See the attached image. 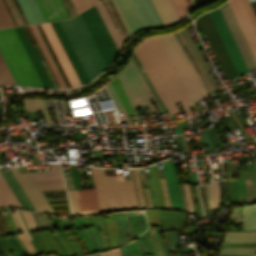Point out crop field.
<instances>
[{"label":"crop field","mask_w":256,"mask_h":256,"mask_svg":"<svg viewBox=\"0 0 256 256\" xmlns=\"http://www.w3.org/2000/svg\"><path fill=\"white\" fill-rule=\"evenodd\" d=\"M110 81L113 84L114 88L116 89V91H117V93H118V95L120 97V100L122 102V105H123L126 113L127 114L131 113L132 111H131V109L129 107V104H128V102H127V100H126V98H125V96H124V94H123V92H122L118 82L116 81L115 77H113Z\"/></svg>","instance_id":"028f5c9d"},{"label":"crop field","mask_w":256,"mask_h":256,"mask_svg":"<svg viewBox=\"0 0 256 256\" xmlns=\"http://www.w3.org/2000/svg\"><path fill=\"white\" fill-rule=\"evenodd\" d=\"M52 236H53V238L56 240V242L58 243V245L61 247V245H60V243H59V241L56 239V237L54 236V234H52ZM61 249L63 250V248L61 247ZM63 252L65 253V251L63 250ZM66 254V253H65ZM66 256H67V254H66Z\"/></svg>","instance_id":"7b73153f"},{"label":"crop field","mask_w":256,"mask_h":256,"mask_svg":"<svg viewBox=\"0 0 256 256\" xmlns=\"http://www.w3.org/2000/svg\"><path fill=\"white\" fill-rule=\"evenodd\" d=\"M21 212H22L24 220H25V222H26V224L28 226V229L31 230V231L37 230V227H36V225H35V223L33 221L31 213L30 212H23V211H21Z\"/></svg>","instance_id":"e1f06a70"},{"label":"crop field","mask_w":256,"mask_h":256,"mask_svg":"<svg viewBox=\"0 0 256 256\" xmlns=\"http://www.w3.org/2000/svg\"><path fill=\"white\" fill-rule=\"evenodd\" d=\"M40 190L65 189L62 180L36 181Z\"/></svg>","instance_id":"bd1437ed"},{"label":"crop field","mask_w":256,"mask_h":256,"mask_svg":"<svg viewBox=\"0 0 256 256\" xmlns=\"http://www.w3.org/2000/svg\"><path fill=\"white\" fill-rule=\"evenodd\" d=\"M238 23L239 26L249 44V47L256 59V35L246 17V14L239 2V0H229L228 1Z\"/></svg>","instance_id":"d9b57169"},{"label":"crop field","mask_w":256,"mask_h":256,"mask_svg":"<svg viewBox=\"0 0 256 256\" xmlns=\"http://www.w3.org/2000/svg\"><path fill=\"white\" fill-rule=\"evenodd\" d=\"M183 188H184V192H185V196H186L188 211L193 212L192 201H191V195H190L189 187H188V185H183Z\"/></svg>","instance_id":"c035e120"},{"label":"crop field","mask_w":256,"mask_h":256,"mask_svg":"<svg viewBox=\"0 0 256 256\" xmlns=\"http://www.w3.org/2000/svg\"><path fill=\"white\" fill-rule=\"evenodd\" d=\"M51 172L31 173L34 180L63 179L59 164H50Z\"/></svg>","instance_id":"ae1a2a85"},{"label":"crop field","mask_w":256,"mask_h":256,"mask_svg":"<svg viewBox=\"0 0 256 256\" xmlns=\"http://www.w3.org/2000/svg\"><path fill=\"white\" fill-rule=\"evenodd\" d=\"M132 60L135 63V65L137 66L138 70L140 71V73L142 74L143 78L145 79L146 83L148 84V86L150 87L151 91L153 92L154 96L156 97V99L158 100L159 104L161 105V107L163 108L164 112H167V109L165 108V106L163 105L162 101L160 100V98L158 97V95L156 94L147 74L145 73V71L143 70L142 66L140 65V63L138 62L135 54L133 53L132 55Z\"/></svg>","instance_id":"750c4746"},{"label":"crop field","mask_w":256,"mask_h":256,"mask_svg":"<svg viewBox=\"0 0 256 256\" xmlns=\"http://www.w3.org/2000/svg\"><path fill=\"white\" fill-rule=\"evenodd\" d=\"M83 1H84L87 8L90 7L91 5L99 2V0H83Z\"/></svg>","instance_id":"dbb93151"},{"label":"crop field","mask_w":256,"mask_h":256,"mask_svg":"<svg viewBox=\"0 0 256 256\" xmlns=\"http://www.w3.org/2000/svg\"><path fill=\"white\" fill-rule=\"evenodd\" d=\"M89 81L106 67L80 14L70 20L60 21Z\"/></svg>","instance_id":"8a807250"},{"label":"crop field","mask_w":256,"mask_h":256,"mask_svg":"<svg viewBox=\"0 0 256 256\" xmlns=\"http://www.w3.org/2000/svg\"><path fill=\"white\" fill-rule=\"evenodd\" d=\"M219 9L229 27V30L239 48V50H240V53L247 65L249 71L256 69V61L248 47V44L238 26V23L228 5V3L219 7Z\"/></svg>","instance_id":"5a996713"},{"label":"crop field","mask_w":256,"mask_h":256,"mask_svg":"<svg viewBox=\"0 0 256 256\" xmlns=\"http://www.w3.org/2000/svg\"><path fill=\"white\" fill-rule=\"evenodd\" d=\"M174 34H175V36H176V38H177V40H178L179 44L181 45V47H182V49H183V51H184V53H185L186 57L188 58V60H189V62H190V64H191V66H192V68L194 69V71H195V73H196V75H197V77H198V79H199L200 83L202 84L203 88L206 90V92L208 93V95H210L211 93L209 94L208 90L206 89L205 85L203 84V82H202V80H201L200 76L198 75V73H197L196 69L194 68V66H193V64H192V62H191V60L189 59V57H188V55H187L186 51L184 50V48H183V46H182L181 42L179 41V39H178V37H177L176 33H174Z\"/></svg>","instance_id":"b54c1fbb"},{"label":"crop field","mask_w":256,"mask_h":256,"mask_svg":"<svg viewBox=\"0 0 256 256\" xmlns=\"http://www.w3.org/2000/svg\"><path fill=\"white\" fill-rule=\"evenodd\" d=\"M105 86H106V88H107V90H108V92H109V94H110V96H111V98H112V100L115 104V107H116L118 113H122L124 119L127 120L128 125H130L129 122H128V119L126 117V114L124 112V109L121 105V102L118 98V95H117L115 89L113 88L112 84L110 83V81Z\"/></svg>","instance_id":"d3111659"},{"label":"crop field","mask_w":256,"mask_h":256,"mask_svg":"<svg viewBox=\"0 0 256 256\" xmlns=\"http://www.w3.org/2000/svg\"><path fill=\"white\" fill-rule=\"evenodd\" d=\"M200 35L205 34L227 80L237 77V73L222 45V42L208 16L204 14L195 20Z\"/></svg>","instance_id":"e52e79f7"},{"label":"crop field","mask_w":256,"mask_h":256,"mask_svg":"<svg viewBox=\"0 0 256 256\" xmlns=\"http://www.w3.org/2000/svg\"><path fill=\"white\" fill-rule=\"evenodd\" d=\"M91 256V255H90Z\"/></svg>","instance_id":"f0312440"},{"label":"crop field","mask_w":256,"mask_h":256,"mask_svg":"<svg viewBox=\"0 0 256 256\" xmlns=\"http://www.w3.org/2000/svg\"><path fill=\"white\" fill-rule=\"evenodd\" d=\"M15 30H16L28 56L30 57L44 87L53 88L35 51H34V49H33V47H32V45H31V43H30V41H29V39H28V37H27V35H26V33H25V31H24V29H23V27L15 28Z\"/></svg>","instance_id":"bc2a9ffb"},{"label":"crop field","mask_w":256,"mask_h":256,"mask_svg":"<svg viewBox=\"0 0 256 256\" xmlns=\"http://www.w3.org/2000/svg\"><path fill=\"white\" fill-rule=\"evenodd\" d=\"M7 240H8V242L11 244V246L13 247V249H14V251L16 252V254L18 255V256H21V254L18 252V250L15 248V246L13 245V243L11 242V240L9 239V237L8 238H6ZM5 239V237H2V240L4 241V243L6 244V246L8 247V249H11L12 247L10 246V244L7 242V240ZM1 240V238H0V241L2 242V244L5 246V244L3 243V241ZM1 242H0V246H1V248L4 250V251H6L7 252V247L5 246V248L7 249H5L4 248V246L1 244ZM8 252H10L9 250H8ZM7 252V253H8ZM15 253H13V256H17Z\"/></svg>","instance_id":"0bd39190"},{"label":"crop field","mask_w":256,"mask_h":256,"mask_svg":"<svg viewBox=\"0 0 256 256\" xmlns=\"http://www.w3.org/2000/svg\"><path fill=\"white\" fill-rule=\"evenodd\" d=\"M93 220H94V222H95V224H96L97 229H100L99 226H98V223H97V221H96V218H94Z\"/></svg>","instance_id":"ae633e8c"},{"label":"crop field","mask_w":256,"mask_h":256,"mask_svg":"<svg viewBox=\"0 0 256 256\" xmlns=\"http://www.w3.org/2000/svg\"><path fill=\"white\" fill-rule=\"evenodd\" d=\"M70 168L75 189L81 188L76 166L70 165Z\"/></svg>","instance_id":"b80d0937"},{"label":"crop field","mask_w":256,"mask_h":256,"mask_svg":"<svg viewBox=\"0 0 256 256\" xmlns=\"http://www.w3.org/2000/svg\"><path fill=\"white\" fill-rule=\"evenodd\" d=\"M221 256H232V255H221Z\"/></svg>","instance_id":"fb207236"},{"label":"crop field","mask_w":256,"mask_h":256,"mask_svg":"<svg viewBox=\"0 0 256 256\" xmlns=\"http://www.w3.org/2000/svg\"><path fill=\"white\" fill-rule=\"evenodd\" d=\"M129 35L143 29V26L129 0H112Z\"/></svg>","instance_id":"5142ce71"},{"label":"crop field","mask_w":256,"mask_h":256,"mask_svg":"<svg viewBox=\"0 0 256 256\" xmlns=\"http://www.w3.org/2000/svg\"><path fill=\"white\" fill-rule=\"evenodd\" d=\"M5 220V219H4ZM6 223H7V221H6ZM7 226H8V224H7ZM9 228V227H8ZM12 230V229H11ZM13 232V231H12Z\"/></svg>","instance_id":"7312dd0a"},{"label":"crop field","mask_w":256,"mask_h":256,"mask_svg":"<svg viewBox=\"0 0 256 256\" xmlns=\"http://www.w3.org/2000/svg\"><path fill=\"white\" fill-rule=\"evenodd\" d=\"M97 221L99 223L100 228L103 230L101 222H100V219L97 218ZM99 233H100V237H101V240H102V243H103L104 247H108L107 242H106V238H105V235H104V232L100 231Z\"/></svg>","instance_id":"25e5ab78"},{"label":"crop field","mask_w":256,"mask_h":256,"mask_svg":"<svg viewBox=\"0 0 256 256\" xmlns=\"http://www.w3.org/2000/svg\"><path fill=\"white\" fill-rule=\"evenodd\" d=\"M72 2L74 4L77 12H80V11L86 9V7H85V5H84L82 0H72Z\"/></svg>","instance_id":"d23c7cc5"},{"label":"crop field","mask_w":256,"mask_h":256,"mask_svg":"<svg viewBox=\"0 0 256 256\" xmlns=\"http://www.w3.org/2000/svg\"><path fill=\"white\" fill-rule=\"evenodd\" d=\"M240 2H241L242 6H243V8H244V10L247 14V17H248L255 33H256V17H255V14H254L248 0H240Z\"/></svg>","instance_id":"d32e631a"},{"label":"crop field","mask_w":256,"mask_h":256,"mask_svg":"<svg viewBox=\"0 0 256 256\" xmlns=\"http://www.w3.org/2000/svg\"><path fill=\"white\" fill-rule=\"evenodd\" d=\"M135 8L144 28L164 27L151 0H130Z\"/></svg>","instance_id":"cbeb9de0"},{"label":"crop field","mask_w":256,"mask_h":256,"mask_svg":"<svg viewBox=\"0 0 256 256\" xmlns=\"http://www.w3.org/2000/svg\"><path fill=\"white\" fill-rule=\"evenodd\" d=\"M209 188V194H210V205L211 209H216L218 203H219V195H220V189L218 185V181H216L213 185H208Z\"/></svg>","instance_id":"1d83c4d3"},{"label":"crop field","mask_w":256,"mask_h":256,"mask_svg":"<svg viewBox=\"0 0 256 256\" xmlns=\"http://www.w3.org/2000/svg\"><path fill=\"white\" fill-rule=\"evenodd\" d=\"M155 212H156V216H157V220H158V211H155ZM145 213H146L148 225H155L152 211H145ZM156 216H155V218H156ZM157 220H156V223H157ZM158 224H159V222H158Z\"/></svg>","instance_id":"5d738f31"},{"label":"crop field","mask_w":256,"mask_h":256,"mask_svg":"<svg viewBox=\"0 0 256 256\" xmlns=\"http://www.w3.org/2000/svg\"><path fill=\"white\" fill-rule=\"evenodd\" d=\"M0 206L22 209L8 185L0 175Z\"/></svg>","instance_id":"a9b5d70f"},{"label":"crop field","mask_w":256,"mask_h":256,"mask_svg":"<svg viewBox=\"0 0 256 256\" xmlns=\"http://www.w3.org/2000/svg\"><path fill=\"white\" fill-rule=\"evenodd\" d=\"M28 23H41L44 22L34 0H17Z\"/></svg>","instance_id":"dafd665d"},{"label":"crop field","mask_w":256,"mask_h":256,"mask_svg":"<svg viewBox=\"0 0 256 256\" xmlns=\"http://www.w3.org/2000/svg\"><path fill=\"white\" fill-rule=\"evenodd\" d=\"M172 209L183 210L179 182L173 160L162 162Z\"/></svg>","instance_id":"22f410ed"},{"label":"crop field","mask_w":256,"mask_h":256,"mask_svg":"<svg viewBox=\"0 0 256 256\" xmlns=\"http://www.w3.org/2000/svg\"><path fill=\"white\" fill-rule=\"evenodd\" d=\"M95 6H96L102 20L104 21L110 35L112 36L118 50H119V48L122 46L123 42H122V40H121V38H120L112 20H111V18H110L109 14L106 10L103 2H100Z\"/></svg>","instance_id":"00972430"},{"label":"crop field","mask_w":256,"mask_h":256,"mask_svg":"<svg viewBox=\"0 0 256 256\" xmlns=\"http://www.w3.org/2000/svg\"><path fill=\"white\" fill-rule=\"evenodd\" d=\"M32 244L35 247V249L37 250L38 254H41L40 250L37 248V246L35 245L34 241H32Z\"/></svg>","instance_id":"0f1d7ab4"},{"label":"crop field","mask_w":256,"mask_h":256,"mask_svg":"<svg viewBox=\"0 0 256 256\" xmlns=\"http://www.w3.org/2000/svg\"><path fill=\"white\" fill-rule=\"evenodd\" d=\"M223 44L224 47L238 73V75H243L245 73H248V69L239 53V50L228 30V27L219 11V9L217 10H213L208 12Z\"/></svg>","instance_id":"d8731c3e"},{"label":"crop field","mask_w":256,"mask_h":256,"mask_svg":"<svg viewBox=\"0 0 256 256\" xmlns=\"http://www.w3.org/2000/svg\"><path fill=\"white\" fill-rule=\"evenodd\" d=\"M205 188H206V193H207V198H208V189H207V185L205 186ZM208 203H209V198H208ZM209 207H210V205H209ZM211 210V209H210Z\"/></svg>","instance_id":"d14b1444"},{"label":"crop field","mask_w":256,"mask_h":256,"mask_svg":"<svg viewBox=\"0 0 256 256\" xmlns=\"http://www.w3.org/2000/svg\"><path fill=\"white\" fill-rule=\"evenodd\" d=\"M176 137H177V139H178V141H179V143H180V146H181V148H182L183 153H184V154H188L187 149H186V147H185V145H184V143H183L181 137H180V136H176Z\"/></svg>","instance_id":"89e229c0"},{"label":"crop field","mask_w":256,"mask_h":256,"mask_svg":"<svg viewBox=\"0 0 256 256\" xmlns=\"http://www.w3.org/2000/svg\"><path fill=\"white\" fill-rule=\"evenodd\" d=\"M227 247H256V243H224Z\"/></svg>","instance_id":"c21b1889"},{"label":"crop field","mask_w":256,"mask_h":256,"mask_svg":"<svg viewBox=\"0 0 256 256\" xmlns=\"http://www.w3.org/2000/svg\"><path fill=\"white\" fill-rule=\"evenodd\" d=\"M194 209H195V212L197 213V208H196V205H194Z\"/></svg>","instance_id":"c3a83c6f"},{"label":"crop field","mask_w":256,"mask_h":256,"mask_svg":"<svg viewBox=\"0 0 256 256\" xmlns=\"http://www.w3.org/2000/svg\"><path fill=\"white\" fill-rule=\"evenodd\" d=\"M255 161H256V159H255Z\"/></svg>","instance_id":"180be81f"},{"label":"crop field","mask_w":256,"mask_h":256,"mask_svg":"<svg viewBox=\"0 0 256 256\" xmlns=\"http://www.w3.org/2000/svg\"><path fill=\"white\" fill-rule=\"evenodd\" d=\"M100 256H112V255H111V252L108 251V252H105V253H101Z\"/></svg>","instance_id":"db79e9e6"},{"label":"crop field","mask_w":256,"mask_h":256,"mask_svg":"<svg viewBox=\"0 0 256 256\" xmlns=\"http://www.w3.org/2000/svg\"><path fill=\"white\" fill-rule=\"evenodd\" d=\"M36 210L52 212L28 172L19 173L16 167H9Z\"/></svg>","instance_id":"d1516ede"},{"label":"crop field","mask_w":256,"mask_h":256,"mask_svg":"<svg viewBox=\"0 0 256 256\" xmlns=\"http://www.w3.org/2000/svg\"><path fill=\"white\" fill-rule=\"evenodd\" d=\"M60 233H61V235L64 237V239L67 241V239L65 238V236L63 235V233H62V232H60ZM60 233H58V234L60 235ZM64 233H65V232H64ZM61 235H60V237L63 239V237H62ZM65 235H66V234H65ZM66 236H67V235H66ZM67 238H68V237H67ZM64 239H63V241L66 243V241H65ZM70 242H71V241H70ZM67 243L69 244L68 241H67ZM67 243H66L67 247H68L69 250L72 252V250H73V248H74V247H73L74 245L72 246V247H73V248H72V247H71L72 244H71V243H70L71 245L69 244V246H70L71 249H72V250H71ZM74 250H75V248H74ZM74 250H73V252L75 253V255H77V253L75 252L77 249H76L75 251H74ZM73 252H72V254L74 255ZM77 252H78V251H77ZM78 254H79V252H78Z\"/></svg>","instance_id":"73cf0c24"},{"label":"crop field","mask_w":256,"mask_h":256,"mask_svg":"<svg viewBox=\"0 0 256 256\" xmlns=\"http://www.w3.org/2000/svg\"><path fill=\"white\" fill-rule=\"evenodd\" d=\"M38 235L40 234V233H37ZM40 237H41V239H42V241H43V243H44V245L46 246V248L49 250V251H51V248L48 246V244L45 242V240L43 239V237L40 235ZM39 237V238H40Z\"/></svg>","instance_id":"0765c3eb"},{"label":"crop field","mask_w":256,"mask_h":256,"mask_svg":"<svg viewBox=\"0 0 256 256\" xmlns=\"http://www.w3.org/2000/svg\"><path fill=\"white\" fill-rule=\"evenodd\" d=\"M179 20L186 15L187 5L184 0H170Z\"/></svg>","instance_id":"120bbe31"},{"label":"crop field","mask_w":256,"mask_h":256,"mask_svg":"<svg viewBox=\"0 0 256 256\" xmlns=\"http://www.w3.org/2000/svg\"><path fill=\"white\" fill-rule=\"evenodd\" d=\"M0 52L17 85L43 87L14 28L0 30Z\"/></svg>","instance_id":"ac0d7876"},{"label":"crop field","mask_w":256,"mask_h":256,"mask_svg":"<svg viewBox=\"0 0 256 256\" xmlns=\"http://www.w3.org/2000/svg\"><path fill=\"white\" fill-rule=\"evenodd\" d=\"M71 87L73 86H77L80 85V82L66 56V54L64 53L50 23H44V24H40Z\"/></svg>","instance_id":"3316defc"},{"label":"crop field","mask_w":256,"mask_h":256,"mask_svg":"<svg viewBox=\"0 0 256 256\" xmlns=\"http://www.w3.org/2000/svg\"><path fill=\"white\" fill-rule=\"evenodd\" d=\"M256 229V204L243 207V230Z\"/></svg>","instance_id":"4177f3b9"},{"label":"crop field","mask_w":256,"mask_h":256,"mask_svg":"<svg viewBox=\"0 0 256 256\" xmlns=\"http://www.w3.org/2000/svg\"><path fill=\"white\" fill-rule=\"evenodd\" d=\"M27 112L42 110L48 124L50 123L44 99H22Z\"/></svg>","instance_id":"eef30255"},{"label":"crop field","mask_w":256,"mask_h":256,"mask_svg":"<svg viewBox=\"0 0 256 256\" xmlns=\"http://www.w3.org/2000/svg\"><path fill=\"white\" fill-rule=\"evenodd\" d=\"M228 182H229V185H230V195H231V184H230V181H228ZM232 189H233V185H232ZM232 203H233V201H232Z\"/></svg>","instance_id":"c39391a2"},{"label":"crop field","mask_w":256,"mask_h":256,"mask_svg":"<svg viewBox=\"0 0 256 256\" xmlns=\"http://www.w3.org/2000/svg\"><path fill=\"white\" fill-rule=\"evenodd\" d=\"M72 214L99 212L94 188L67 191Z\"/></svg>","instance_id":"28ad6ade"},{"label":"crop field","mask_w":256,"mask_h":256,"mask_svg":"<svg viewBox=\"0 0 256 256\" xmlns=\"http://www.w3.org/2000/svg\"><path fill=\"white\" fill-rule=\"evenodd\" d=\"M33 235H34L35 238L38 240V242L40 243V245L42 246V248L45 250V252H48L47 249L45 248V246L43 245V243L40 241V239H39L38 236L36 235V233H33Z\"/></svg>","instance_id":"9d1cf04e"},{"label":"crop field","mask_w":256,"mask_h":256,"mask_svg":"<svg viewBox=\"0 0 256 256\" xmlns=\"http://www.w3.org/2000/svg\"><path fill=\"white\" fill-rule=\"evenodd\" d=\"M51 25L60 41L65 53L67 54L81 84H85V83L89 82L71 45H70V43H69V41H68V39H67V37H66V35H65V33H64V31H63V29H62V27H61V25H60V23H59V21L52 22Z\"/></svg>","instance_id":"733c2abd"},{"label":"crop field","mask_w":256,"mask_h":256,"mask_svg":"<svg viewBox=\"0 0 256 256\" xmlns=\"http://www.w3.org/2000/svg\"><path fill=\"white\" fill-rule=\"evenodd\" d=\"M58 240L60 241V243L62 244V246L64 247V249L67 251V253L69 254V256H72V254L70 253V251L67 249L66 245L63 243V241L60 239L59 236H57Z\"/></svg>","instance_id":"1d79db26"},{"label":"crop field","mask_w":256,"mask_h":256,"mask_svg":"<svg viewBox=\"0 0 256 256\" xmlns=\"http://www.w3.org/2000/svg\"><path fill=\"white\" fill-rule=\"evenodd\" d=\"M220 252L251 255V254H255L256 248H221Z\"/></svg>","instance_id":"5866460e"},{"label":"crop field","mask_w":256,"mask_h":256,"mask_svg":"<svg viewBox=\"0 0 256 256\" xmlns=\"http://www.w3.org/2000/svg\"><path fill=\"white\" fill-rule=\"evenodd\" d=\"M21 214V213H20ZM22 217V215H21ZM22 220H23V217H22ZM23 223H24V220H23ZM25 225V223H24ZM26 227V226H25ZM27 229V228H26ZM28 231V230H27ZM29 232V231H28ZM30 236L33 238V240L35 241V243L37 244V246L40 248V250L42 251V253H44V250L41 248V246L38 244V242L36 241V239L33 237V235L30 233Z\"/></svg>","instance_id":"0fb4a251"},{"label":"crop field","mask_w":256,"mask_h":256,"mask_svg":"<svg viewBox=\"0 0 256 256\" xmlns=\"http://www.w3.org/2000/svg\"><path fill=\"white\" fill-rule=\"evenodd\" d=\"M74 220L78 224L79 227H84L81 220H80V217H76V218H74Z\"/></svg>","instance_id":"447ae74e"},{"label":"crop field","mask_w":256,"mask_h":256,"mask_svg":"<svg viewBox=\"0 0 256 256\" xmlns=\"http://www.w3.org/2000/svg\"><path fill=\"white\" fill-rule=\"evenodd\" d=\"M45 22L69 18L60 0H35Z\"/></svg>","instance_id":"4a817a6b"},{"label":"crop field","mask_w":256,"mask_h":256,"mask_svg":"<svg viewBox=\"0 0 256 256\" xmlns=\"http://www.w3.org/2000/svg\"><path fill=\"white\" fill-rule=\"evenodd\" d=\"M74 230H75V232L77 233V235L80 237V235L78 234L77 230H76V229H74ZM80 239H81V237H80ZM81 240H82V239H81ZM82 242H83V241H82ZM83 244H84V242H83ZM84 245H85V244H84ZM85 247H86V249L88 250V252H90L86 245H85Z\"/></svg>","instance_id":"e1d0b9f6"},{"label":"crop field","mask_w":256,"mask_h":256,"mask_svg":"<svg viewBox=\"0 0 256 256\" xmlns=\"http://www.w3.org/2000/svg\"><path fill=\"white\" fill-rule=\"evenodd\" d=\"M180 32H181L182 36L184 37L185 41L187 42L196 62L198 63L199 67L201 68L202 72L204 73L205 77L207 78L209 84L211 85V87L214 91L215 89H217V86H216L213 78L211 77L198 49L196 48L187 28Z\"/></svg>","instance_id":"214f88e0"},{"label":"crop field","mask_w":256,"mask_h":256,"mask_svg":"<svg viewBox=\"0 0 256 256\" xmlns=\"http://www.w3.org/2000/svg\"><path fill=\"white\" fill-rule=\"evenodd\" d=\"M1 234H4V233H3V231H2V229H1V227H0V235H1Z\"/></svg>","instance_id":"c5b07064"},{"label":"crop field","mask_w":256,"mask_h":256,"mask_svg":"<svg viewBox=\"0 0 256 256\" xmlns=\"http://www.w3.org/2000/svg\"><path fill=\"white\" fill-rule=\"evenodd\" d=\"M90 169L100 212L137 208L131 181L106 182L103 169Z\"/></svg>","instance_id":"34b2d1b8"},{"label":"crop field","mask_w":256,"mask_h":256,"mask_svg":"<svg viewBox=\"0 0 256 256\" xmlns=\"http://www.w3.org/2000/svg\"><path fill=\"white\" fill-rule=\"evenodd\" d=\"M49 236L51 237V239L54 241L55 245L58 247V249L62 252V250L59 248V246L56 244L55 240L52 238L51 234L49 233V231H47ZM63 253V252H62ZM64 254V253H63Z\"/></svg>","instance_id":"78b8030e"},{"label":"crop field","mask_w":256,"mask_h":256,"mask_svg":"<svg viewBox=\"0 0 256 256\" xmlns=\"http://www.w3.org/2000/svg\"><path fill=\"white\" fill-rule=\"evenodd\" d=\"M106 65L118 51L95 6L80 13Z\"/></svg>","instance_id":"dd49c442"},{"label":"crop field","mask_w":256,"mask_h":256,"mask_svg":"<svg viewBox=\"0 0 256 256\" xmlns=\"http://www.w3.org/2000/svg\"><path fill=\"white\" fill-rule=\"evenodd\" d=\"M1 28V27H0Z\"/></svg>","instance_id":"1f1604b0"},{"label":"crop field","mask_w":256,"mask_h":256,"mask_svg":"<svg viewBox=\"0 0 256 256\" xmlns=\"http://www.w3.org/2000/svg\"><path fill=\"white\" fill-rule=\"evenodd\" d=\"M0 173L2 174L3 178L11 188L12 192L20 202L21 206L23 209H30V210H35L33 205L31 204L30 200L18 184L17 180L13 176V174H4L3 171L0 168Z\"/></svg>","instance_id":"92a150f3"},{"label":"crop field","mask_w":256,"mask_h":256,"mask_svg":"<svg viewBox=\"0 0 256 256\" xmlns=\"http://www.w3.org/2000/svg\"><path fill=\"white\" fill-rule=\"evenodd\" d=\"M186 2H187V4H188V6H189V4H190L191 0H186Z\"/></svg>","instance_id":"ade564c9"},{"label":"crop field","mask_w":256,"mask_h":256,"mask_svg":"<svg viewBox=\"0 0 256 256\" xmlns=\"http://www.w3.org/2000/svg\"><path fill=\"white\" fill-rule=\"evenodd\" d=\"M15 211H16L17 217H18V219L20 221V224H21V227H22L23 231L26 233V235L28 236L29 240H31V237L28 235V233H27V231H26V229H25V227H24V225L22 223V220H21V217H20L18 211L17 210H15Z\"/></svg>","instance_id":"1f2cbd36"},{"label":"crop field","mask_w":256,"mask_h":256,"mask_svg":"<svg viewBox=\"0 0 256 256\" xmlns=\"http://www.w3.org/2000/svg\"><path fill=\"white\" fill-rule=\"evenodd\" d=\"M43 235V237L45 238V240L47 241V243L49 244V246L52 248V250H57L56 252H59V250L56 248V246L54 245V243L51 241V239L49 238V236L47 235V232L44 231L41 233Z\"/></svg>","instance_id":"425ffa30"},{"label":"crop field","mask_w":256,"mask_h":256,"mask_svg":"<svg viewBox=\"0 0 256 256\" xmlns=\"http://www.w3.org/2000/svg\"><path fill=\"white\" fill-rule=\"evenodd\" d=\"M108 215V218H109V222H110V226H111V230H112V235H113V240H114V243H115V246H117V241H116V237H115V233H114V228H113V224H112V220H111V216H110V214H107ZM113 216V215H112ZM114 217H115V214H114ZM114 217H113V221H114ZM107 219V218H106ZM115 221H116V218H115ZM115 221H114V226H115ZM108 224V223H107ZM116 225H117V222H116ZM110 226H109V228H110ZM109 228H108V230H109ZM115 230H116V228H115ZM117 230H118V228H117ZM109 234H110V231H109ZM108 234V235H109ZM117 234V233H116ZM117 236H118V234H117ZM110 237H111V235H110ZM109 237V238H110ZM111 241H112V239H111ZM112 246H113V243H112Z\"/></svg>","instance_id":"03da06ac"},{"label":"crop field","mask_w":256,"mask_h":256,"mask_svg":"<svg viewBox=\"0 0 256 256\" xmlns=\"http://www.w3.org/2000/svg\"><path fill=\"white\" fill-rule=\"evenodd\" d=\"M116 78H117L120 86L122 87L128 101H129V104L131 106V109L133 111V114H134V117H135V120H136L137 124H139L141 122H140L138 114H137V112L134 108V105H133V103L130 99L132 97L142 95L144 100L146 101L147 105L149 106L150 110L152 111V113H155L156 110L154 109V107L152 106L151 102L148 99V98L153 97L155 102L159 106L160 110L162 111V113H164L163 110L161 109L160 105L156 101L155 97L151 93L150 89L146 85L145 81L141 77L140 73L136 69V67H135V65H134V63L132 62L131 59L128 62V64L125 66V68L122 69L116 75Z\"/></svg>","instance_id":"f4fd0767"},{"label":"crop field","mask_w":256,"mask_h":256,"mask_svg":"<svg viewBox=\"0 0 256 256\" xmlns=\"http://www.w3.org/2000/svg\"><path fill=\"white\" fill-rule=\"evenodd\" d=\"M158 38L193 102L206 98L207 94L202 88V84L200 85L174 34L158 36Z\"/></svg>","instance_id":"412701ff"},{"label":"crop field","mask_w":256,"mask_h":256,"mask_svg":"<svg viewBox=\"0 0 256 256\" xmlns=\"http://www.w3.org/2000/svg\"><path fill=\"white\" fill-rule=\"evenodd\" d=\"M256 241V231L226 232L224 242H250Z\"/></svg>","instance_id":"730fd06b"}]
</instances>
